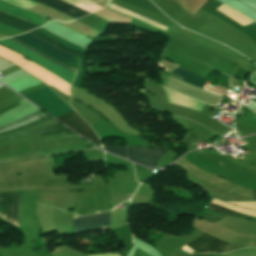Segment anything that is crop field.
Segmentation results:
<instances>
[{"label":"crop field","mask_w":256,"mask_h":256,"mask_svg":"<svg viewBox=\"0 0 256 256\" xmlns=\"http://www.w3.org/2000/svg\"><path fill=\"white\" fill-rule=\"evenodd\" d=\"M0 56L10 61L15 62L18 66H21L30 74L34 75L38 79L45 82L49 87L53 86L60 92L70 96L69 87L70 85L63 81L61 78L49 73L45 69L35 65L32 62L27 61L21 55L0 46Z\"/></svg>","instance_id":"8a807250"},{"label":"crop field","mask_w":256,"mask_h":256,"mask_svg":"<svg viewBox=\"0 0 256 256\" xmlns=\"http://www.w3.org/2000/svg\"><path fill=\"white\" fill-rule=\"evenodd\" d=\"M11 40H13V41H15V42H17V43H19V44L29 48V49H31L30 47H28V46H26V45H24V44H22V43H20V42H18L16 40H14V39H11ZM0 44L8 46L9 48H11V49H13V50L23 54L24 56L28 57L32 61L36 62L37 64L41 65L42 67L50 70L52 73H54V74L58 75L59 77L63 78L67 82L72 83V81L74 79V76L76 74L74 72H76V71H74V70L69 68L70 70L74 71V72H72V71H70V70H68V69H66V68H64V67H62V66H60V65H58V64H56V63H54V62H52V61H50V60H48L46 58H44V57L34 53V52H32V51H30V50H28V49H26V48H24V47H22V46H20V45H18L16 43H14L12 41H10V40H8V39L0 40ZM31 50H33V49H31ZM33 51H35V50H33ZM35 52H37V51H35ZM37 53H39V52H37ZM39 54H41V53H39ZM41 55H43V54H41ZM43 56H45V55H43Z\"/></svg>","instance_id":"ac0d7876"},{"label":"crop field","mask_w":256,"mask_h":256,"mask_svg":"<svg viewBox=\"0 0 256 256\" xmlns=\"http://www.w3.org/2000/svg\"><path fill=\"white\" fill-rule=\"evenodd\" d=\"M47 88V87H46ZM44 89V88H43ZM41 90V89H40ZM38 91V90H37ZM36 92V91H35ZM30 94V93H29ZM36 94L43 99L52 109H54L57 113H59L60 115H63L65 113H68L70 111H72V109L66 104L64 103L57 95H55L49 88L41 90L36 92ZM35 93L34 94H30L27 95L30 99H32L34 102H36L38 105H40L41 107L47 109L48 111H50L53 115H55L56 117L60 116L59 114H57L54 110H52L44 101H42ZM25 96V95H24ZM26 97V96H25ZM26 97V98H28ZM28 98V99H29ZM29 99V100H30ZM30 100V101H32ZM32 101V102H33ZM33 102V103H34ZM35 103V104H36ZM36 104V105H37ZM39 106V107H40ZM40 107V108H41ZM42 108V109H43ZM43 109V110H45ZM47 110H45L46 112H48ZM49 113V112H48ZM50 113V114H51ZM51 114V115H52Z\"/></svg>","instance_id":"34b2d1b8"},{"label":"crop field","mask_w":256,"mask_h":256,"mask_svg":"<svg viewBox=\"0 0 256 256\" xmlns=\"http://www.w3.org/2000/svg\"><path fill=\"white\" fill-rule=\"evenodd\" d=\"M127 151L130 160L150 167H156L160 158L169 150L144 147H127Z\"/></svg>","instance_id":"412701ff"},{"label":"crop field","mask_w":256,"mask_h":256,"mask_svg":"<svg viewBox=\"0 0 256 256\" xmlns=\"http://www.w3.org/2000/svg\"><path fill=\"white\" fill-rule=\"evenodd\" d=\"M186 245L197 252L223 253L227 242L203 233Z\"/></svg>","instance_id":"f4fd0767"},{"label":"crop field","mask_w":256,"mask_h":256,"mask_svg":"<svg viewBox=\"0 0 256 256\" xmlns=\"http://www.w3.org/2000/svg\"><path fill=\"white\" fill-rule=\"evenodd\" d=\"M59 121L63 122L74 131L80 135L90 139L95 144L99 145L98 137L93 133L90 127L85 123V121L75 112H70L64 116L57 118ZM100 146V145H99Z\"/></svg>","instance_id":"dd49c442"},{"label":"crop field","mask_w":256,"mask_h":256,"mask_svg":"<svg viewBox=\"0 0 256 256\" xmlns=\"http://www.w3.org/2000/svg\"><path fill=\"white\" fill-rule=\"evenodd\" d=\"M74 217L77 216L74 215ZM96 227H109V212L98 215L74 218L75 231Z\"/></svg>","instance_id":"e52e79f7"},{"label":"crop field","mask_w":256,"mask_h":256,"mask_svg":"<svg viewBox=\"0 0 256 256\" xmlns=\"http://www.w3.org/2000/svg\"><path fill=\"white\" fill-rule=\"evenodd\" d=\"M22 35L25 36V37H27V38H29L30 40L36 42L37 44H39V45H41V46H43V47H45V48H47V49H49V50H51V51L57 53V54H59V55L65 57V58H67V59H69V60H71L72 57H73L72 55H70V54H68V53H65V52H61V51L57 50L56 48H54V47L48 45L47 43H45V42H43V41H41V40H39V39H36V38L30 36V35L27 34V33L22 34ZM23 36L19 35V36H16V37L19 38V39H21V40H23V41H25V42H27V43H29V44H31V45H33V46H35V47H37V48H39V49H41V50H43L44 52H46V53H48V54H50V55H52V56H54V57H56V58L62 60V61H64V62L68 63V64L71 63L70 61H68V60H66V59H64V58H62V57H60V56H58V55H56V54H54V53H52V52L46 50L45 48H43V47L37 45L36 43L30 41L29 39H27V38H25V37H23ZM13 38H15V37H13ZM17 38H15V39H17ZM19 39H17V40H19ZM21 40H19V41H21ZM23 41H21V42H23ZM25 42H23V43H25ZM27 43H25V44H27ZM29 44H27V45H29ZM31 45H29V46H31ZM33 46H31V47H33ZM35 47H33V48L36 49V50H38V51H40V52H42L41 50H39V49H37V48H35ZM44 52H42V53H44ZM46 53H44V54H46ZM48 54H46V55H48ZM50 55H48V56L51 57V58H53V59H55V60H57V61H60V60H58V59H56V58H54V57H52V56H50ZM62 61H60V62H62ZM64 62H62V63H64ZM66 63H64V64H66ZM68 64H66V65H67V66H70V65H68Z\"/></svg>","instance_id":"d8731c3e"},{"label":"crop field","mask_w":256,"mask_h":256,"mask_svg":"<svg viewBox=\"0 0 256 256\" xmlns=\"http://www.w3.org/2000/svg\"><path fill=\"white\" fill-rule=\"evenodd\" d=\"M0 10H3L12 15L31 21L39 26H42L49 21L47 18L41 15L21 9L2 0H0Z\"/></svg>","instance_id":"5a996713"},{"label":"crop field","mask_w":256,"mask_h":256,"mask_svg":"<svg viewBox=\"0 0 256 256\" xmlns=\"http://www.w3.org/2000/svg\"><path fill=\"white\" fill-rule=\"evenodd\" d=\"M20 194H0V213L17 221Z\"/></svg>","instance_id":"3316defc"},{"label":"crop field","mask_w":256,"mask_h":256,"mask_svg":"<svg viewBox=\"0 0 256 256\" xmlns=\"http://www.w3.org/2000/svg\"><path fill=\"white\" fill-rule=\"evenodd\" d=\"M36 30H38V31L42 32L43 34H45V35H47V36L53 38L54 40L58 41L59 43L65 45V46H67V47H70V48H72V49L79 50V51H84V52L87 51V50H85V49H83V48H81V47H79V46H76V45L71 44V43H69V42H67V41H64V40H62L61 38H59V37H57V36H55V35H53V34L47 32V31H45V30H43V29H41V28L36 29ZM28 33H30V34H32V35H34V36H36V37H39V38H41V39H43V40H45V41H47V42H49V43L55 45L56 47H58V48H60V49H62V50H65V51H67V52H70V53H73V54H75V55L82 56V57H84V55H85L84 52H79V51H75V50H72V49H70V48L64 47V46H62L61 44H59V43H57L56 41H54L53 39H51V38H49V37H47V36H45V35H43V34L37 32V31H35V30L30 31V32H28Z\"/></svg>","instance_id":"28ad6ade"},{"label":"crop field","mask_w":256,"mask_h":256,"mask_svg":"<svg viewBox=\"0 0 256 256\" xmlns=\"http://www.w3.org/2000/svg\"><path fill=\"white\" fill-rule=\"evenodd\" d=\"M210 203H211V202H210ZM212 203H213V204H216V205H219V206H222V207H224V208L233 210V211H237V212H241V213H244V214L256 216V211H252V210H247V209L235 207V206H233V205H231V204H227V203L221 202V201L216 200V199H213ZM216 205L210 204V207H209V208H210V209H213V210H216V211H219V212H222V213H224V214H226V215H228V216H231V217H236V218H241V219L256 221V218H255V217H251V216H248V215H244V214H240V213H237V212H233V211L224 209V208L219 207V206H216Z\"/></svg>","instance_id":"d1516ede"},{"label":"crop field","mask_w":256,"mask_h":256,"mask_svg":"<svg viewBox=\"0 0 256 256\" xmlns=\"http://www.w3.org/2000/svg\"><path fill=\"white\" fill-rule=\"evenodd\" d=\"M34 1L41 3L43 5L49 6L51 8H54L64 14L74 18V19L88 14V13H86L72 5H69L65 2H62L60 0H34Z\"/></svg>","instance_id":"22f410ed"},{"label":"crop field","mask_w":256,"mask_h":256,"mask_svg":"<svg viewBox=\"0 0 256 256\" xmlns=\"http://www.w3.org/2000/svg\"><path fill=\"white\" fill-rule=\"evenodd\" d=\"M198 32H200L202 34H205L207 36H210L212 38H215V39H217V40H219V41H221V42H223V43H225V44H227V45L237 49L238 51H240V52L244 53L245 55L249 56L250 58L253 59V61L256 62V54L248 51L247 49H245L242 46L236 44L235 42H233V41H231V40H229L227 38L221 37L219 35H216L217 33L214 34V33L210 32V31H208V30H206V29H204L202 27L198 30Z\"/></svg>","instance_id":"cbeb9de0"},{"label":"crop field","mask_w":256,"mask_h":256,"mask_svg":"<svg viewBox=\"0 0 256 256\" xmlns=\"http://www.w3.org/2000/svg\"><path fill=\"white\" fill-rule=\"evenodd\" d=\"M170 73L174 74L178 78H180L188 83L199 86L201 88H203L205 86V84L208 82V81H206V80H204V79H202V78H200V77H198L180 67Z\"/></svg>","instance_id":"5142ce71"},{"label":"crop field","mask_w":256,"mask_h":256,"mask_svg":"<svg viewBox=\"0 0 256 256\" xmlns=\"http://www.w3.org/2000/svg\"><path fill=\"white\" fill-rule=\"evenodd\" d=\"M217 3H219L220 5L222 4L221 2L215 0ZM219 5V6H220ZM218 7V6H217ZM216 7V8H217ZM215 8V9H216ZM218 11L222 12L223 14H225L226 16H228L229 18L233 19L234 21L238 22L239 24L245 26V25H249L251 23H253L254 21L248 19L247 17L243 16L242 14L231 10L230 8L226 7L225 5H221L220 7L217 8ZM251 25H255L256 26V22L251 24ZM246 27V26H245Z\"/></svg>","instance_id":"d9b57169"},{"label":"crop field","mask_w":256,"mask_h":256,"mask_svg":"<svg viewBox=\"0 0 256 256\" xmlns=\"http://www.w3.org/2000/svg\"><path fill=\"white\" fill-rule=\"evenodd\" d=\"M2 13H0V22L9 24L11 26L17 27V28L22 29L24 31H28V30H31V29L37 27L35 25L29 24L30 22L26 23L27 21L24 22V21L18 20L19 18L15 19L16 17L13 18V17L7 16V15H4Z\"/></svg>","instance_id":"733c2abd"},{"label":"crop field","mask_w":256,"mask_h":256,"mask_svg":"<svg viewBox=\"0 0 256 256\" xmlns=\"http://www.w3.org/2000/svg\"><path fill=\"white\" fill-rule=\"evenodd\" d=\"M65 1H68V2H70L72 4H75V5H77V6L81 7V8H84V9L90 11V12H93V11H96L98 9H101V8L91 4V3H88L86 1H84V0H65Z\"/></svg>","instance_id":"4a817a6b"},{"label":"crop field","mask_w":256,"mask_h":256,"mask_svg":"<svg viewBox=\"0 0 256 256\" xmlns=\"http://www.w3.org/2000/svg\"><path fill=\"white\" fill-rule=\"evenodd\" d=\"M103 149L114 153L116 155H119L121 157H124L127 159V155H126V149L125 148H111V147H103Z\"/></svg>","instance_id":"bc2a9ffb"},{"label":"crop field","mask_w":256,"mask_h":256,"mask_svg":"<svg viewBox=\"0 0 256 256\" xmlns=\"http://www.w3.org/2000/svg\"><path fill=\"white\" fill-rule=\"evenodd\" d=\"M239 206L247 207L256 210V202H229Z\"/></svg>","instance_id":"214f88e0"},{"label":"crop field","mask_w":256,"mask_h":256,"mask_svg":"<svg viewBox=\"0 0 256 256\" xmlns=\"http://www.w3.org/2000/svg\"><path fill=\"white\" fill-rule=\"evenodd\" d=\"M134 256H149V255L146 254L145 252L141 251L140 249L136 248Z\"/></svg>","instance_id":"92a150f3"},{"label":"crop field","mask_w":256,"mask_h":256,"mask_svg":"<svg viewBox=\"0 0 256 256\" xmlns=\"http://www.w3.org/2000/svg\"><path fill=\"white\" fill-rule=\"evenodd\" d=\"M87 256H120L117 253L114 254H105V255H87Z\"/></svg>","instance_id":"dafd665d"},{"label":"crop field","mask_w":256,"mask_h":256,"mask_svg":"<svg viewBox=\"0 0 256 256\" xmlns=\"http://www.w3.org/2000/svg\"><path fill=\"white\" fill-rule=\"evenodd\" d=\"M253 196H254L253 200H256V191H254V190H253Z\"/></svg>","instance_id":"00972430"},{"label":"crop field","mask_w":256,"mask_h":256,"mask_svg":"<svg viewBox=\"0 0 256 256\" xmlns=\"http://www.w3.org/2000/svg\"><path fill=\"white\" fill-rule=\"evenodd\" d=\"M218 103V102H217Z\"/></svg>","instance_id":"a9b5d70f"}]
</instances>
